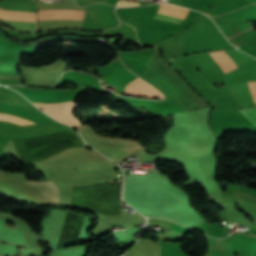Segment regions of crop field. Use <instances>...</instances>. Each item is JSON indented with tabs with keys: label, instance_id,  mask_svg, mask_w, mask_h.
I'll use <instances>...</instances> for the list:
<instances>
[{
	"label": "crop field",
	"instance_id": "obj_3",
	"mask_svg": "<svg viewBox=\"0 0 256 256\" xmlns=\"http://www.w3.org/2000/svg\"><path fill=\"white\" fill-rule=\"evenodd\" d=\"M0 15L36 20V13L8 9L1 6H0ZM3 16H0V18L4 19L3 21L5 23H8L14 29L23 30V31H35L36 21L9 18V17H3Z\"/></svg>",
	"mask_w": 256,
	"mask_h": 256
},
{
	"label": "crop field",
	"instance_id": "obj_8",
	"mask_svg": "<svg viewBox=\"0 0 256 256\" xmlns=\"http://www.w3.org/2000/svg\"><path fill=\"white\" fill-rule=\"evenodd\" d=\"M213 58L218 62L223 74L236 68L231 58L224 52L210 53Z\"/></svg>",
	"mask_w": 256,
	"mask_h": 256
},
{
	"label": "crop field",
	"instance_id": "obj_2",
	"mask_svg": "<svg viewBox=\"0 0 256 256\" xmlns=\"http://www.w3.org/2000/svg\"><path fill=\"white\" fill-rule=\"evenodd\" d=\"M38 108H41L43 112L49 114L54 119L61 121L72 127L82 125L73 115L72 112L75 109L73 101L64 103H33Z\"/></svg>",
	"mask_w": 256,
	"mask_h": 256
},
{
	"label": "crop field",
	"instance_id": "obj_15",
	"mask_svg": "<svg viewBox=\"0 0 256 256\" xmlns=\"http://www.w3.org/2000/svg\"><path fill=\"white\" fill-rule=\"evenodd\" d=\"M122 187V186H121Z\"/></svg>",
	"mask_w": 256,
	"mask_h": 256
},
{
	"label": "crop field",
	"instance_id": "obj_9",
	"mask_svg": "<svg viewBox=\"0 0 256 256\" xmlns=\"http://www.w3.org/2000/svg\"><path fill=\"white\" fill-rule=\"evenodd\" d=\"M167 2L188 8H200L213 2V0H169Z\"/></svg>",
	"mask_w": 256,
	"mask_h": 256
},
{
	"label": "crop field",
	"instance_id": "obj_13",
	"mask_svg": "<svg viewBox=\"0 0 256 256\" xmlns=\"http://www.w3.org/2000/svg\"><path fill=\"white\" fill-rule=\"evenodd\" d=\"M139 3H135V2H118L117 6L121 7V6H138Z\"/></svg>",
	"mask_w": 256,
	"mask_h": 256
},
{
	"label": "crop field",
	"instance_id": "obj_4",
	"mask_svg": "<svg viewBox=\"0 0 256 256\" xmlns=\"http://www.w3.org/2000/svg\"><path fill=\"white\" fill-rule=\"evenodd\" d=\"M82 11L75 10H44L39 11L38 24L50 22H69L80 24Z\"/></svg>",
	"mask_w": 256,
	"mask_h": 256
},
{
	"label": "crop field",
	"instance_id": "obj_6",
	"mask_svg": "<svg viewBox=\"0 0 256 256\" xmlns=\"http://www.w3.org/2000/svg\"><path fill=\"white\" fill-rule=\"evenodd\" d=\"M124 89L138 96L162 99V95L159 92L138 78L131 81Z\"/></svg>",
	"mask_w": 256,
	"mask_h": 256
},
{
	"label": "crop field",
	"instance_id": "obj_12",
	"mask_svg": "<svg viewBox=\"0 0 256 256\" xmlns=\"http://www.w3.org/2000/svg\"><path fill=\"white\" fill-rule=\"evenodd\" d=\"M250 93L252 94L253 98L256 101V82H250V83H246Z\"/></svg>",
	"mask_w": 256,
	"mask_h": 256
},
{
	"label": "crop field",
	"instance_id": "obj_7",
	"mask_svg": "<svg viewBox=\"0 0 256 256\" xmlns=\"http://www.w3.org/2000/svg\"><path fill=\"white\" fill-rule=\"evenodd\" d=\"M38 192L45 197L58 203L59 190L58 186L52 181L29 182Z\"/></svg>",
	"mask_w": 256,
	"mask_h": 256
},
{
	"label": "crop field",
	"instance_id": "obj_5",
	"mask_svg": "<svg viewBox=\"0 0 256 256\" xmlns=\"http://www.w3.org/2000/svg\"><path fill=\"white\" fill-rule=\"evenodd\" d=\"M186 13H187V9H184V8L178 7V6L161 3L160 8L155 17L164 19V20L174 21V22L178 23L185 17ZM166 22H169V21H166ZM174 22H170V23H174ZM176 23H174V24H176Z\"/></svg>",
	"mask_w": 256,
	"mask_h": 256
},
{
	"label": "crop field",
	"instance_id": "obj_14",
	"mask_svg": "<svg viewBox=\"0 0 256 256\" xmlns=\"http://www.w3.org/2000/svg\"><path fill=\"white\" fill-rule=\"evenodd\" d=\"M107 3H109V4H113V5H115V6H116V4H117V0H107Z\"/></svg>",
	"mask_w": 256,
	"mask_h": 256
},
{
	"label": "crop field",
	"instance_id": "obj_11",
	"mask_svg": "<svg viewBox=\"0 0 256 256\" xmlns=\"http://www.w3.org/2000/svg\"><path fill=\"white\" fill-rule=\"evenodd\" d=\"M0 120H7V121H10V122H14V123H18L20 125H28V124H31L21 118H18V117H14V116H11V115H6V114H0Z\"/></svg>",
	"mask_w": 256,
	"mask_h": 256
},
{
	"label": "crop field",
	"instance_id": "obj_10",
	"mask_svg": "<svg viewBox=\"0 0 256 256\" xmlns=\"http://www.w3.org/2000/svg\"><path fill=\"white\" fill-rule=\"evenodd\" d=\"M240 112L253 124L256 125V106L244 110H240Z\"/></svg>",
	"mask_w": 256,
	"mask_h": 256
},
{
	"label": "crop field",
	"instance_id": "obj_1",
	"mask_svg": "<svg viewBox=\"0 0 256 256\" xmlns=\"http://www.w3.org/2000/svg\"><path fill=\"white\" fill-rule=\"evenodd\" d=\"M77 129L81 132L84 140L91 147L105 154L119 165L126 160L127 156L141 148L136 142L97 136L86 126Z\"/></svg>",
	"mask_w": 256,
	"mask_h": 256
}]
</instances>
